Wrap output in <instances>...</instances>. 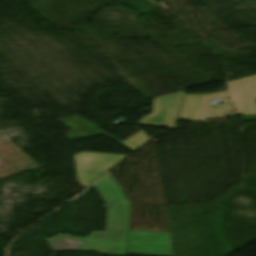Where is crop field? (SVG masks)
<instances>
[{
	"mask_svg": "<svg viewBox=\"0 0 256 256\" xmlns=\"http://www.w3.org/2000/svg\"><path fill=\"white\" fill-rule=\"evenodd\" d=\"M95 186L108 204L105 232L94 231L86 238L66 234L46 239L53 251L125 255L130 203L111 175ZM79 242H87V245H79ZM127 253L173 256L169 233L130 231Z\"/></svg>",
	"mask_w": 256,
	"mask_h": 256,
	"instance_id": "1",
	"label": "crop field"
},
{
	"mask_svg": "<svg viewBox=\"0 0 256 256\" xmlns=\"http://www.w3.org/2000/svg\"><path fill=\"white\" fill-rule=\"evenodd\" d=\"M128 157L127 155L82 152L74 156L77 176L100 178Z\"/></svg>",
	"mask_w": 256,
	"mask_h": 256,
	"instance_id": "2",
	"label": "crop field"
},
{
	"mask_svg": "<svg viewBox=\"0 0 256 256\" xmlns=\"http://www.w3.org/2000/svg\"><path fill=\"white\" fill-rule=\"evenodd\" d=\"M184 93L185 91L155 98L153 113L139 124L175 128Z\"/></svg>",
	"mask_w": 256,
	"mask_h": 256,
	"instance_id": "3",
	"label": "crop field"
},
{
	"mask_svg": "<svg viewBox=\"0 0 256 256\" xmlns=\"http://www.w3.org/2000/svg\"><path fill=\"white\" fill-rule=\"evenodd\" d=\"M226 99V92L215 95H186L179 119L196 121L202 118L212 105L210 100Z\"/></svg>",
	"mask_w": 256,
	"mask_h": 256,
	"instance_id": "4",
	"label": "crop field"
},
{
	"mask_svg": "<svg viewBox=\"0 0 256 256\" xmlns=\"http://www.w3.org/2000/svg\"><path fill=\"white\" fill-rule=\"evenodd\" d=\"M228 83L232 102L256 100V75Z\"/></svg>",
	"mask_w": 256,
	"mask_h": 256,
	"instance_id": "5",
	"label": "crop field"
},
{
	"mask_svg": "<svg viewBox=\"0 0 256 256\" xmlns=\"http://www.w3.org/2000/svg\"><path fill=\"white\" fill-rule=\"evenodd\" d=\"M60 122L75 130L71 132H66L70 140L101 136L100 133L92 129L97 126L82 119L79 116L63 119Z\"/></svg>",
	"mask_w": 256,
	"mask_h": 256,
	"instance_id": "6",
	"label": "crop field"
},
{
	"mask_svg": "<svg viewBox=\"0 0 256 256\" xmlns=\"http://www.w3.org/2000/svg\"><path fill=\"white\" fill-rule=\"evenodd\" d=\"M94 129L97 130L98 132L112 138L111 136L105 134L104 132H102L96 128H94ZM112 139H114V138H112ZM114 140L135 151L136 149H138L140 146H142L144 143H146L150 139L143 133L139 132L136 135L129 138L128 140L124 141L123 143L116 139H114Z\"/></svg>",
	"mask_w": 256,
	"mask_h": 256,
	"instance_id": "7",
	"label": "crop field"
},
{
	"mask_svg": "<svg viewBox=\"0 0 256 256\" xmlns=\"http://www.w3.org/2000/svg\"><path fill=\"white\" fill-rule=\"evenodd\" d=\"M238 109V114H256V102H238L234 103Z\"/></svg>",
	"mask_w": 256,
	"mask_h": 256,
	"instance_id": "8",
	"label": "crop field"
},
{
	"mask_svg": "<svg viewBox=\"0 0 256 256\" xmlns=\"http://www.w3.org/2000/svg\"><path fill=\"white\" fill-rule=\"evenodd\" d=\"M213 111H233V107L231 106V104L229 103V101H225V102H223V104H222L221 107L211 109V110L207 113V115H206L205 118H211Z\"/></svg>",
	"mask_w": 256,
	"mask_h": 256,
	"instance_id": "9",
	"label": "crop field"
},
{
	"mask_svg": "<svg viewBox=\"0 0 256 256\" xmlns=\"http://www.w3.org/2000/svg\"><path fill=\"white\" fill-rule=\"evenodd\" d=\"M96 180H98V179L78 177V181L80 182V184L82 185V187H89V186L92 185Z\"/></svg>",
	"mask_w": 256,
	"mask_h": 256,
	"instance_id": "10",
	"label": "crop field"
},
{
	"mask_svg": "<svg viewBox=\"0 0 256 256\" xmlns=\"http://www.w3.org/2000/svg\"><path fill=\"white\" fill-rule=\"evenodd\" d=\"M226 117V112H214L212 118H224Z\"/></svg>",
	"mask_w": 256,
	"mask_h": 256,
	"instance_id": "11",
	"label": "crop field"
}]
</instances>
